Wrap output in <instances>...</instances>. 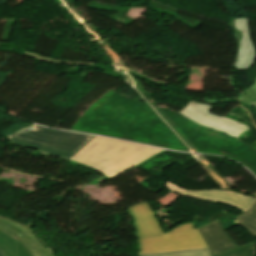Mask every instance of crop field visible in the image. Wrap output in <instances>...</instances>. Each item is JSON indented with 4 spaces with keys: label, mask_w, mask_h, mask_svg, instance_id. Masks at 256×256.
Wrapping results in <instances>:
<instances>
[{
    "label": "crop field",
    "mask_w": 256,
    "mask_h": 256,
    "mask_svg": "<svg viewBox=\"0 0 256 256\" xmlns=\"http://www.w3.org/2000/svg\"><path fill=\"white\" fill-rule=\"evenodd\" d=\"M229 26L234 31L233 36L238 42V52L233 67L237 70H249L253 65L255 52L248 35L247 20L246 18L232 19Z\"/></svg>",
    "instance_id": "crop-field-6"
},
{
    "label": "crop field",
    "mask_w": 256,
    "mask_h": 256,
    "mask_svg": "<svg viewBox=\"0 0 256 256\" xmlns=\"http://www.w3.org/2000/svg\"><path fill=\"white\" fill-rule=\"evenodd\" d=\"M235 222L256 238V202L248 210L239 214Z\"/></svg>",
    "instance_id": "crop-field-12"
},
{
    "label": "crop field",
    "mask_w": 256,
    "mask_h": 256,
    "mask_svg": "<svg viewBox=\"0 0 256 256\" xmlns=\"http://www.w3.org/2000/svg\"><path fill=\"white\" fill-rule=\"evenodd\" d=\"M24 54L30 55V56L34 57L35 59H37V60L46 61V62H50V63H62V64H76V65L94 66V63H79V62H67V61L52 60V59H49V58L41 57L36 53H32V52H28V51H25Z\"/></svg>",
    "instance_id": "crop-field-16"
},
{
    "label": "crop field",
    "mask_w": 256,
    "mask_h": 256,
    "mask_svg": "<svg viewBox=\"0 0 256 256\" xmlns=\"http://www.w3.org/2000/svg\"><path fill=\"white\" fill-rule=\"evenodd\" d=\"M126 209L138 238L164 233L148 200Z\"/></svg>",
    "instance_id": "crop-field-7"
},
{
    "label": "crop field",
    "mask_w": 256,
    "mask_h": 256,
    "mask_svg": "<svg viewBox=\"0 0 256 256\" xmlns=\"http://www.w3.org/2000/svg\"><path fill=\"white\" fill-rule=\"evenodd\" d=\"M164 188H167L177 194L229 205L238 210H241L242 212L246 210L255 200V198L251 196H245L243 194H238V193L218 191L214 189L205 190V191H189L177 185H173L169 182L165 183Z\"/></svg>",
    "instance_id": "crop-field-4"
},
{
    "label": "crop field",
    "mask_w": 256,
    "mask_h": 256,
    "mask_svg": "<svg viewBox=\"0 0 256 256\" xmlns=\"http://www.w3.org/2000/svg\"><path fill=\"white\" fill-rule=\"evenodd\" d=\"M217 256H256V244L253 241L240 248L232 249Z\"/></svg>",
    "instance_id": "crop-field-15"
},
{
    "label": "crop field",
    "mask_w": 256,
    "mask_h": 256,
    "mask_svg": "<svg viewBox=\"0 0 256 256\" xmlns=\"http://www.w3.org/2000/svg\"><path fill=\"white\" fill-rule=\"evenodd\" d=\"M197 230L203 237L213 256L237 246L222 229L218 220H215L207 226L198 228Z\"/></svg>",
    "instance_id": "crop-field-8"
},
{
    "label": "crop field",
    "mask_w": 256,
    "mask_h": 256,
    "mask_svg": "<svg viewBox=\"0 0 256 256\" xmlns=\"http://www.w3.org/2000/svg\"><path fill=\"white\" fill-rule=\"evenodd\" d=\"M20 132L46 139L70 142L75 144L85 145L93 136L69 133L63 131L50 130L42 127L32 126L21 130Z\"/></svg>",
    "instance_id": "crop-field-10"
},
{
    "label": "crop field",
    "mask_w": 256,
    "mask_h": 256,
    "mask_svg": "<svg viewBox=\"0 0 256 256\" xmlns=\"http://www.w3.org/2000/svg\"><path fill=\"white\" fill-rule=\"evenodd\" d=\"M0 230L10 235L12 238H17L14 232L5 224L0 223Z\"/></svg>",
    "instance_id": "crop-field-17"
},
{
    "label": "crop field",
    "mask_w": 256,
    "mask_h": 256,
    "mask_svg": "<svg viewBox=\"0 0 256 256\" xmlns=\"http://www.w3.org/2000/svg\"><path fill=\"white\" fill-rule=\"evenodd\" d=\"M237 101L256 109V80L238 96Z\"/></svg>",
    "instance_id": "crop-field-14"
},
{
    "label": "crop field",
    "mask_w": 256,
    "mask_h": 256,
    "mask_svg": "<svg viewBox=\"0 0 256 256\" xmlns=\"http://www.w3.org/2000/svg\"><path fill=\"white\" fill-rule=\"evenodd\" d=\"M4 46H9V45L6 43H0V47H4Z\"/></svg>",
    "instance_id": "crop-field-18"
},
{
    "label": "crop field",
    "mask_w": 256,
    "mask_h": 256,
    "mask_svg": "<svg viewBox=\"0 0 256 256\" xmlns=\"http://www.w3.org/2000/svg\"><path fill=\"white\" fill-rule=\"evenodd\" d=\"M0 256H5V255L0 251Z\"/></svg>",
    "instance_id": "crop-field-19"
},
{
    "label": "crop field",
    "mask_w": 256,
    "mask_h": 256,
    "mask_svg": "<svg viewBox=\"0 0 256 256\" xmlns=\"http://www.w3.org/2000/svg\"><path fill=\"white\" fill-rule=\"evenodd\" d=\"M213 108L214 107L191 101L179 114L201 125L226 133L236 139L245 131L249 130V127L242 123L214 114L211 111Z\"/></svg>",
    "instance_id": "crop-field-3"
},
{
    "label": "crop field",
    "mask_w": 256,
    "mask_h": 256,
    "mask_svg": "<svg viewBox=\"0 0 256 256\" xmlns=\"http://www.w3.org/2000/svg\"><path fill=\"white\" fill-rule=\"evenodd\" d=\"M7 138L17 144L31 147L66 159H69L78 149L82 147L81 145L35 138L20 132L10 135Z\"/></svg>",
    "instance_id": "crop-field-5"
},
{
    "label": "crop field",
    "mask_w": 256,
    "mask_h": 256,
    "mask_svg": "<svg viewBox=\"0 0 256 256\" xmlns=\"http://www.w3.org/2000/svg\"><path fill=\"white\" fill-rule=\"evenodd\" d=\"M0 222L7 224L15 234L24 242L33 256H53L45 245L37 238L34 232L18 223L14 219L0 217Z\"/></svg>",
    "instance_id": "crop-field-9"
},
{
    "label": "crop field",
    "mask_w": 256,
    "mask_h": 256,
    "mask_svg": "<svg viewBox=\"0 0 256 256\" xmlns=\"http://www.w3.org/2000/svg\"><path fill=\"white\" fill-rule=\"evenodd\" d=\"M140 254L171 250H184L206 247L203 239L191 222L180 225L170 232L138 240Z\"/></svg>",
    "instance_id": "crop-field-2"
},
{
    "label": "crop field",
    "mask_w": 256,
    "mask_h": 256,
    "mask_svg": "<svg viewBox=\"0 0 256 256\" xmlns=\"http://www.w3.org/2000/svg\"><path fill=\"white\" fill-rule=\"evenodd\" d=\"M140 256H211L207 248L196 250H184V251H171L157 254H147Z\"/></svg>",
    "instance_id": "crop-field-13"
},
{
    "label": "crop field",
    "mask_w": 256,
    "mask_h": 256,
    "mask_svg": "<svg viewBox=\"0 0 256 256\" xmlns=\"http://www.w3.org/2000/svg\"><path fill=\"white\" fill-rule=\"evenodd\" d=\"M0 250L6 256H32L23 242L0 231Z\"/></svg>",
    "instance_id": "crop-field-11"
},
{
    "label": "crop field",
    "mask_w": 256,
    "mask_h": 256,
    "mask_svg": "<svg viewBox=\"0 0 256 256\" xmlns=\"http://www.w3.org/2000/svg\"><path fill=\"white\" fill-rule=\"evenodd\" d=\"M160 151L94 136L70 160L90 166L111 179Z\"/></svg>",
    "instance_id": "crop-field-1"
}]
</instances>
